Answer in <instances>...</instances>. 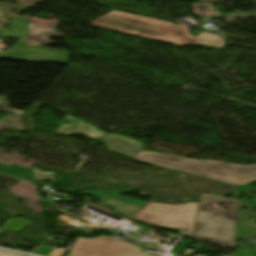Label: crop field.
Masks as SVG:
<instances>
[{"label":"crop field","mask_w":256,"mask_h":256,"mask_svg":"<svg viewBox=\"0 0 256 256\" xmlns=\"http://www.w3.org/2000/svg\"><path fill=\"white\" fill-rule=\"evenodd\" d=\"M89 24L115 32L132 34L137 37L164 41L180 46L191 43L223 48L221 37L200 32L198 38L191 37L187 27L113 11Z\"/></svg>","instance_id":"crop-field-1"},{"label":"crop field","mask_w":256,"mask_h":256,"mask_svg":"<svg viewBox=\"0 0 256 256\" xmlns=\"http://www.w3.org/2000/svg\"><path fill=\"white\" fill-rule=\"evenodd\" d=\"M135 159L235 185L256 181V165L240 166L219 161H197L175 155H163L145 151H140Z\"/></svg>","instance_id":"crop-field-2"},{"label":"crop field","mask_w":256,"mask_h":256,"mask_svg":"<svg viewBox=\"0 0 256 256\" xmlns=\"http://www.w3.org/2000/svg\"><path fill=\"white\" fill-rule=\"evenodd\" d=\"M218 202L228 205L231 210L218 209L212 203ZM237 200L203 195L198 205V215L195 220L194 230L188 236L214 242L226 247H234L233 241L236 231ZM216 216H213V215Z\"/></svg>","instance_id":"crop-field-3"},{"label":"crop field","mask_w":256,"mask_h":256,"mask_svg":"<svg viewBox=\"0 0 256 256\" xmlns=\"http://www.w3.org/2000/svg\"><path fill=\"white\" fill-rule=\"evenodd\" d=\"M198 203L169 205L149 203L132 219L149 223L157 228L178 230L182 236L192 232Z\"/></svg>","instance_id":"crop-field-4"},{"label":"crop field","mask_w":256,"mask_h":256,"mask_svg":"<svg viewBox=\"0 0 256 256\" xmlns=\"http://www.w3.org/2000/svg\"><path fill=\"white\" fill-rule=\"evenodd\" d=\"M141 247L108 236L77 238L69 256H153L140 252Z\"/></svg>","instance_id":"crop-field-5"},{"label":"crop field","mask_w":256,"mask_h":256,"mask_svg":"<svg viewBox=\"0 0 256 256\" xmlns=\"http://www.w3.org/2000/svg\"><path fill=\"white\" fill-rule=\"evenodd\" d=\"M139 188L140 186H136V187L126 189L123 191H118V192L90 191V192H82L81 194L94 195L105 202L103 206L109 205L110 207H112L114 209L115 214H118L126 218H131L133 215L137 213L136 211L145 203L123 198L118 196L117 194L139 189Z\"/></svg>","instance_id":"crop-field-6"},{"label":"crop field","mask_w":256,"mask_h":256,"mask_svg":"<svg viewBox=\"0 0 256 256\" xmlns=\"http://www.w3.org/2000/svg\"><path fill=\"white\" fill-rule=\"evenodd\" d=\"M52 54H54V56ZM18 55H23V56H18ZM67 56H68L67 51L49 50L41 46L23 45L14 53V56L11 55L9 58L26 60V61H53V62L67 63ZM0 58H7V57H0Z\"/></svg>","instance_id":"crop-field-7"},{"label":"crop field","mask_w":256,"mask_h":256,"mask_svg":"<svg viewBox=\"0 0 256 256\" xmlns=\"http://www.w3.org/2000/svg\"><path fill=\"white\" fill-rule=\"evenodd\" d=\"M64 121L72 123L71 125L63 124ZM56 133L62 135H84L93 140L98 139L100 136L106 134L105 132L97 129L96 127L85 123L77 118H74L66 114L64 120L61 122L60 127L56 130Z\"/></svg>","instance_id":"crop-field-8"},{"label":"crop field","mask_w":256,"mask_h":256,"mask_svg":"<svg viewBox=\"0 0 256 256\" xmlns=\"http://www.w3.org/2000/svg\"><path fill=\"white\" fill-rule=\"evenodd\" d=\"M245 207L247 211H241ZM248 201L240 200L238 231L236 241L244 237L256 239V217Z\"/></svg>","instance_id":"crop-field-9"},{"label":"crop field","mask_w":256,"mask_h":256,"mask_svg":"<svg viewBox=\"0 0 256 256\" xmlns=\"http://www.w3.org/2000/svg\"><path fill=\"white\" fill-rule=\"evenodd\" d=\"M28 18L25 17H17L11 20V28L8 30H2L3 33L1 36L4 37H11V38H18L22 39L18 44H16L12 49L9 51H0V55H7L10 54L12 51H14L16 48H18L20 45L23 44V41L25 39V31L27 27Z\"/></svg>","instance_id":"crop-field-10"},{"label":"crop field","mask_w":256,"mask_h":256,"mask_svg":"<svg viewBox=\"0 0 256 256\" xmlns=\"http://www.w3.org/2000/svg\"><path fill=\"white\" fill-rule=\"evenodd\" d=\"M36 24L52 26V30H42V29L32 28V26ZM57 25H58L57 23H43L36 20H30L26 41L52 45L53 44L52 41L48 40L47 37L48 36L61 37V35L56 32L55 26ZM42 33H44V35H41Z\"/></svg>","instance_id":"crop-field-11"},{"label":"crop field","mask_w":256,"mask_h":256,"mask_svg":"<svg viewBox=\"0 0 256 256\" xmlns=\"http://www.w3.org/2000/svg\"><path fill=\"white\" fill-rule=\"evenodd\" d=\"M0 174L29 182H35L33 171L18 165H6L0 163Z\"/></svg>","instance_id":"crop-field-12"},{"label":"crop field","mask_w":256,"mask_h":256,"mask_svg":"<svg viewBox=\"0 0 256 256\" xmlns=\"http://www.w3.org/2000/svg\"><path fill=\"white\" fill-rule=\"evenodd\" d=\"M104 140H107L109 142L115 143L129 151L137 152L139 151L144 145L134 139L118 136L115 134H107L103 137H101Z\"/></svg>","instance_id":"crop-field-13"},{"label":"crop field","mask_w":256,"mask_h":256,"mask_svg":"<svg viewBox=\"0 0 256 256\" xmlns=\"http://www.w3.org/2000/svg\"><path fill=\"white\" fill-rule=\"evenodd\" d=\"M34 168L35 178L36 181H49V180H55L54 177L56 173L52 172H42L38 168Z\"/></svg>","instance_id":"crop-field-14"},{"label":"crop field","mask_w":256,"mask_h":256,"mask_svg":"<svg viewBox=\"0 0 256 256\" xmlns=\"http://www.w3.org/2000/svg\"><path fill=\"white\" fill-rule=\"evenodd\" d=\"M6 99H7L6 96L0 97V112L15 114V115H19V114L23 113V111L8 108L9 105L6 102Z\"/></svg>","instance_id":"crop-field-15"},{"label":"crop field","mask_w":256,"mask_h":256,"mask_svg":"<svg viewBox=\"0 0 256 256\" xmlns=\"http://www.w3.org/2000/svg\"><path fill=\"white\" fill-rule=\"evenodd\" d=\"M97 141L106 144L108 146V148L110 149V151H112V152H116V153L122 154V155L127 156V157H133L134 156V153L126 151V150H124L122 148H119V147H117L115 145L107 143V142H105L103 140L98 139Z\"/></svg>","instance_id":"crop-field-16"},{"label":"crop field","mask_w":256,"mask_h":256,"mask_svg":"<svg viewBox=\"0 0 256 256\" xmlns=\"http://www.w3.org/2000/svg\"><path fill=\"white\" fill-rule=\"evenodd\" d=\"M246 195L251 197L252 200H250V204L252 206L253 209L256 210V199L252 197V193H253V190H252V187L250 186H242Z\"/></svg>","instance_id":"crop-field-17"},{"label":"crop field","mask_w":256,"mask_h":256,"mask_svg":"<svg viewBox=\"0 0 256 256\" xmlns=\"http://www.w3.org/2000/svg\"><path fill=\"white\" fill-rule=\"evenodd\" d=\"M52 250H54V248H50V247H46V246H42L40 245L34 252H32L33 254H38V255H43L46 256L47 254H49Z\"/></svg>","instance_id":"crop-field-18"},{"label":"crop field","mask_w":256,"mask_h":256,"mask_svg":"<svg viewBox=\"0 0 256 256\" xmlns=\"http://www.w3.org/2000/svg\"><path fill=\"white\" fill-rule=\"evenodd\" d=\"M67 250L55 249L47 256H62Z\"/></svg>","instance_id":"crop-field-19"},{"label":"crop field","mask_w":256,"mask_h":256,"mask_svg":"<svg viewBox=\"0 0 256 256\" xmlns=\"http://www.w3.org/2000/svg\"><path fill=\"white\" fill-rule=\"evenodd\" d=\"M58 196H59V197H62V198L59 199V200H52V202H54V203L57 202V201L73 202V200H71V199H69V198L74 197V196H69V195L63 196V195H61V194H59Z\"/></svg>","instance_id":"crop-field-20"},{"label":"crop field","mask_w":256,"mask_h":256,"mask_svg":"<svg viewBox=\"0 0 256 256\" xmlns=\"http://www.w3.org/2000/svg\"><path fill=\"white\" fill-rule=\"evenodd\" d=\"M0 256H27V255L0 251Z\"/></svg>","instance_id":"crop-field-21"},{"label":"crop field","mask_w":256,"mask_h":256,"mask_svg":"<svg viewBox=\"0 0 256 256\" xmlns=\"http://www.w3.org/2000/svg\"><path fill=\"white\" fill-rule=\"evenodd\" d=\"M249 249H250L254 254H256V246H255V247H249Z\"/></svg>","instance_id":"crop-field-22"},{"label":"crop field","mask_w":256,"mask_h":256,"mask_svg":"<svg viewBox=\"0 0 256 256\" xmlns=\"http://www.w3.org/2000/svg\"><path fill=\"white\" fill-rule=\"evenodd\" d=\"M255 213H256V211H255Z\"/></svg>","instance_id":"crop-field-23"}]
</instances>
